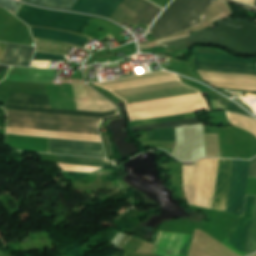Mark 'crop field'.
<instances>
[{
    "mask_svg": "<svg viewBox=\"0 0 256 256\" xmlns=\"http://www.w3.org/2000/svg\"><path fill=\"white\" fill-rule=\"evenodd\" d=\"M197 123H199L197 118H193V119H187V120H180V121H173V122L160 123V124H154V125L134 127V128H131V130H132V132H135V131L146 130V129L179 127V126H185V125H191V124H197Z\"/></svg>",
    "mask_w": 256,
    "mask_h": 256,
    "instance_id": "obj_27",
    "label": "crop field"
},
{
    "mask_svg": "<svg viewBox=\"0 0 256 256\" xmlns=\"http://www.w3.org/2000/svg\"><path fill=\"white\" fill-rule=\"evenodd\" d=\"M34 37L51 39L59 42L73 43L80 46H85L90 40L82 35L71 34L58 30L44 29L29 26Z\"/></svg>",
    "mask_w": 256,
    "mask_h": 256,
    "instance_id": "obj_17",
    "label": "crop field"
},
{
    "mask_svg": "<svg viewBox=\"0 0 256 256\" xmlns=\"http://www.w3.org/2000/svg\"><path fill=\"white\" fill-rule=\"evenodd\" d=\"M110 92L124 99L126 104L199 93V91L182 84L180 80L112 90Z\"/></svg>",
    "mask_w": 256,
    "mask_h": 256,
    "instance_id": "obj_4",
    "label": "crop field"
},
{
    "mask_svg": "<svg viewBox=\"0 0 256 256\" xmlns=\"http://www.w3.org/2000/svg\"><path fill=\"white\" fill-rule=\"evenodd\" d=\"M54 153L103 157L102 144L96 142H85L75 140L49 139ZM49 141V153H53Z\"/></svg>",
    "mask_w": 256,
    "mask_h": 256,
    "instance_id": "obj_12",
    "label": "crop field"
},
{
    "mask_svg": "<svg viewBox=\"0 0 256 256\" xmlns=\"http://www.w3.org/2000/svg\"><path fill=\"white\" fill-rule=\"evenodd\" d=\"M130 121L209 110L201 94L126 105Z\"/></svg>",
    "mask_w": 256,
    "mask_h": 256,
    "instance_id": "obj_3",
    "label": "crop field"
},
{
    "mask_svg": "<svg viewBox=\"0 0 256 256\" xmlns=\"http://www.w3.org/2000/svg\"><path fill=\"white\" fill-rule=\"evenodd\" d=\"M255 198L247 196L244 218L239 217L223 243L241 256L247 255L248 251ZM254 251H256V202L248 254Z\"/></svg>",
    "mask_w": 256,
    "mask_h": 256,
    "instance_id": "obj_7",
    "label": "crop field"
},
{
    "mask_svg": "<svg viewBox=\"0 0 256 256\" xmlns=\"http://www.w3.org/2000/svg\"><path fill=\"white\" fill-rule=\"evenodd\" d=\"M161 10L147 0H124L110 19L120 24L126 20L136 26L140 23L149 26Z\"/></svg>",
    "mask_w": 256,
    "mask_h": 256,
    "instance_id": "obj_8",
    "label": "crop field"
},
{
    "mask_svg": "<svg viewBox=\"0 0 256 256\" xmlns=\"http://www.w3.org/2000/svg\"><path fill=\"white\" fill-rule=\"evenodd\" d=\"M5 109L44 112V113H55V114H66V115H77V116H88V117H99V118H107V117L118 115L117 111L98 113V112L46 109V108H34V107L11 106V105H6Z\"/></svg>",
    "mask_w": 256,
    "mask_h": 256,
    "instance_id": "obj_20",
    "label": "crop field"
},
{
    "mask_svg": "<svg viewBox=\"0 0 256 256\" xmlns=\"http://www.w3.org/2000/svg\"><path fill=\"white\" fill-rule=\"evenodd\" d=\"M176 79H178L177 75L167 71H161V72L149 73V74H144L139 76H133V77L126 78L124 80L107 82V83H102L98 85L108 90H111V89L130 87V86L155 83V82H162V81H169V80H176Z\"/></svg>",
    "mask_w": 256,
    "mask_h": 256,
    "instance_id": "obj_15",
    "label": "crop field"
},
{
    "mask_svg": "<svg viewBox=\"0 0 256 256\" xmlns=\"http://www.w3.org/2000/svg\"><path fill=\"white\" fill-rule=\"evenodd\" d=\"M197 71L213 87L256 90V76L254 75Z\"/></svg>",
    "mask_w": 256,
    "mask_h": 256,
    "instance_id": "obj_11",
    "label": "crop field"
},
{
    "mask_svg": "<svg viewBox=\"0 0 256 256\" xmlns=\"http://www.w3.org/2000/svg\"><path fill=\"white\" fill-rule=\"evenodd\" d=\"M250 161L234 160L230 185L228 213L242 216Z\"/></svg>",
    "mask_w": 256,
    "mask_h": 256,
    "instance_id": "obj_9",
    "label": "crop field"
},
{
    "mask_svg": "<svg viewBox=\"0 0 256 256\" xmlns=\"http://www.w3.org/2000/svg\"><path fill=\"white\" fill-rule=\"evenodd\" d=\"M230 123L243 128L256 136V120L227 112Z\"/></svg>",
    "mask_w": 256,
    "mask_h": 256,
    "instance_id": "obj_24",
    "label": "crop field"
},
{
    "mask_svg": "<svg viewBox=\"0 0 256 256\" xmlns=\"http://www.w3.org/2000/svg\"><path fill=\"white\" fill-rule=\"evenodd\" d=\"M6 45L7 44H5V43H0V62H1V59H2V56H3V53L5 51Z\"/></svg>",
    "mask_w": 256,
    "mask_h": 256,
    "instance_id": "obj_34",
    "label": "crop field"
},
{
    "mask_svg": "<svg viewBox=\"0 0 256 256\" xmlns=\"http://www.w3.org/2000/svg\"><path fill=\"white\" fill-rule=\"evenodd\" d=\"M214 0H174L152 26L156 39L199 26Z\"/></svg>",
    "mask_w": 256,
    "mask_h": 256,
    "instance_id": "obj_1",
    "label": "crop field"
},
{
    "mask_svg": "<svg viewBox=\"0 0 256 256\" xmlns=\"http://www.w3.org/2000/svg\"><path fill=\"white\" fill-rule=\"evenodd\" d=\"M7 104L51 108L48 95L12 93Z\"/></svg>",
    "mask_w": 256,
    "mask_h": 256,
    "instance_id": "obj_21",
    "label": "crop field"
},
{
    "mask_svg": "<svg viewBox=\"0 0 256 256\" xmlns=\"http://www.w3.org/2000/svg\"><path fill=\"white\" fill-rule=\"evenodd\" d=\"M249 178H256V158L251 160Z\"/></svg>",
    "mask_w": 256,
    "mask_h": 256,
    "instance_id": "obj_33",
    "label": "crop field"
},
{
    "mask_svg": "<svg viewBox=\"0 0 256 256\" xmlns=\"http://www.w3.org/2000/svg\"><path fill=\"white\" fill-rule=\"evenodd\" d=\"M122 1L123 0H78L71 10L109 18Z\"/></svg>",
    "mask_w": 256,
    "mask_h": 256,
    "instance_id": "obj_16",
    "label": "crop field"
},
{
    "mask_svg": "<svg viewBox=\"0 0 256 256\" xmlns=\"http://www.w3.org/2000/svg\"><path fill=\"white\" fill-rule=\"evenodd\" d=\"M255 6H256V4H255Z\"/></svg>",
    "mask_w": 256,
    "mask_h": 256,
    "instance_id": "obj_37",
    "label": "crop field"
},
{
    "mask_svg": "<svg viewBox=\"0 0 256 256\" xmlns=\"http://www.w3.org/2000/svg\"><path fill=\"white\" fill-rule=\"evenodd\" d=\"M219 159H202L195 166H183V187L187 203L212 209Z\"/></svg>",
    "mask_w": 256,
    "mask_h": 256,
    "instance_id": "obj_2",
    "label": "crop field"
},
{
    "mask_svg": "<svg viewBox=\"0 0 256 256\" xmlns=\"http://www.w3.org/2000/svg\"><path fill=\"white\" fill-rule=\"evenodd\" d=\"M18 14L24 15V16L40 18V19L56 21V22L72 24V25H78V26H83V27H85L86 24L88 23V21L91 19L90 16L42 10V9H38V8L28 6L25 4H23V6L19 10ZM19 15H16V16L19 17L21 20H23L28 25L49 27V28L74 32V33H78V34H80L82 32V30L84 29L83 27L72 26V25H67V24H62V23H56V22H51V21H46V20H40V19H35V18H30V17L19 16Z\"/></svg>",
    "mask_w": 256,
    "mask_h": 256,
    "instance_id": "obj_5",
    "label": "crop field"
},
{
    "mask_svg": "<svg viewBox=\"0 0 256 256\" xmlns=\"http://www.w3.org/2000/svg\"><path fill=\"white\" fill-rule=\"evenodd\" d=\"M33 60L66 61V58H65L64 56H59V55H51V54L36 53Z\"/></svg>",
    "mask_w": 256,
    "mask_h": 256,
    "instance_id": "obj_30",
    "label": "crop field"
},
{
    "mask_svg": "<svg viewBox=\"0 0 256 256\" xmlns=\"http://www.w3.org/2000/svg\"><path fill=\"white\" fill-rule=\"evenodd\" d=\"M237 1L243 3L244 0H237ZM244 3H245V4H248V5H251V6H254L255 0H245Z\"/></svg>",
    "mask_w": 256,
    "mask_h": 256,
    "instance_id": "obj_35",
    "label": "crop field"
},
{
    "mask_svg": "<svg viewBox=\"0 0 256 256\" xmlns=\"http://www.w3.org/2000/svg\"><path fill=\"white\" fill-rule=\"evenodd\" d=\"M34 49L35 48L8 44L1 63L29 66Z\"/></svg>",
    "mask_w": 256,
    "mask_h": 256,
    "instance_id": "obj_18",
    "label": "crop field"
},
{
    "mask_svg": "<svg viewBox=\"0 0 256 256\" xmlns=\"http://www.w3.org/2000/svg\"><path fill=\"white\" fill-rule=\"evenodd\" d=\"M193 236L186 235L180 256H187ZM158 256V255H157Z\"/></svg>",
    "mask_w": 256,
    "mask_h": 256,
    "instance_id": "obj_32",
    "label": "crop field"
},
{
    "mask_svg": "<svg viewBox=\"0 0 256 256\" xmlns=\"http://www.w3.org/2000/svg\"><path fill=\"white\" fill-rule=\"evenodd\" d=\"M194 58L196 69L256 75V60L210 51H195Z\"/></svg>",
    "mask_w": 256,
    "mask_h": 256,
    "instance_id": "obj_6",
    "label": "crop field"
},
{
    "mask_svg": "<svg viewBox=\"0 0 256 256\" xmlns=\"http://www.w3.org/2000/svg\"><path fill=\"white\" fill-rule=\"evenodd\" d=\"M193 117H196L194 113L166 116V117H158V118H152V119H146V120L133 121V122H130V125H131V127H134V126L167 122V121L180 120V119L193 118Z\"/></svg>",
    "mask_w": 256,
    "mask_h": 256,
    "instance_id": "obj_26",
    "label": "crop field"
},
{
    "mask_svg": "<svg viewBox=\"0 0 256 256\" xmlns=\"http://www.w3.org/2000/svg\"><path fill=\"white\" fill-rule=\"evenodd\" d=\"M7 68H8V66L0 65V73L3 72Z\"/></svg>",
    "mask_w": 256,
    "mask_h": 256,
    "instance_id": "obj_36",
    "label": "crop field"
},
{
    "mask_svg": "<svg viewBox=\"0 0 256 256\" xmlns=\"http://www.w3.org/2000/svg\"><path fill=\"white\" fill-rule=\"evenodd\" d=\"M8 127L99 135L97 128L72 126V125H61V124H49V123H37V122L8 120Z\"/></svg>",
    "mask_w": 256,
    "mask_h": 256,
    "instance_id": "obj_14",
    "label": "crop field"
},
{
    "mask_svg": "<svg viewBox=\"0 0 256 256\" xmlns=\"http://www.w3.org/2000/svg\"><path fill=\"white\" fill-rule=\"evenodd\" d=\"M7 134L101 142L99 136H93V135L68 134V133H57V132H46V131H35V130L13 129V128H8Z\"/></svg>",
    "mask_w": 256,
    "mask_h": 256,
    "instance_id": "obj_19",
    "label": "crop field"
},
{
    "mask_svg": "<svg viewBox=\"0 0 256 256\" xmlns=\"http://www.w3.org/2000/svg\"><path fill=\"white\" fill-rule=\"evenodd\" d=\"M58 159H59V162H62V163L76 164V165H82V166L106 167V166L112 165V163L106 160L84 158V157L58 155Z\"/></svg>",
    "mask_w": 256,
    "mask_h": 256,
    "instance_id": "obj_23",
    "label": "crop field"
},
{
    "mask_svg": "<svg viewBox=\"0 0 256 256\" xmlns=\"http://www.w3.org/2000/svg\"><path fill=\"white\" fill-rule=\"evenodd\" d=\"M0 5L7 8L9 11L16 15L18 10L22 6V3L15 2L12 0H0Z\"/></svg>",
    "mask_w": 256,
    "mask_h": 256,
    "instance_id": "obj_29",
    "label": "crop field"
},
{
    "mask_svg": "<svg viewBox=\"0 0 256 256\" xmlns=\"http://www.w3.org/2000/svg\"><path fill=\"white\" fill-rule=\"evenodd\" d=\"M34 39L37 45L36 51L68 54L72 46L81 48L80 46L73 45V44H64V43H59V42L45 40V39H37V38H34Z\"/></svg>",
    "mask_w": 256,
    "mask_h": 256,
    "instance_id": "obj_22",
    "label": "crop field"
},
{
    "mask_svg": "<svg viewBox=\"0 0 256 256\" xmlns=\"http://www.w3.org/2000/svg\"><path fill=\"white\" fill-rule=\"evenodd\" d=\"M233 160L220 159L213 209L226 212Z\"/></svg>",
    "mask_w": 256,
    "mask_h": 256,
    "instance_id": "obj_13",
    "label": "crop field"
},
{
    "mask_svg": "<svg viewBox=\"0 0 256 256\" xmlns=\"http://www.w3.org/2000/svg\"><path fill=\"white\" fill-rule=\"evenodd\" d=\"M212 104H213V108H219L226 111H232V112L241 113L247 116H251L243 108H241L239 105H237L234 102L212 100Z\"/></svg>",
    "mask_w": 256,
    "mask_h": 256,
    "instance_id": "obj_28",
    "label": "crop field"
},
{
    "mask_svg": "<svg viewBox=\"0 0 256 256\" xmlns=\"http://www.w3.org/2000/svg\"><path fill=\"white\" fill-rule=\"evenodd\" d=\"M7 113H8V119H14V120L62 123V124L93 126V127H98L103 120L99 118H88V117H77V116H66V115H55V114H44V113H33V112L11 111V110H7Z\"/></svg>",
    "mask_w": 256,
    "mask_h": 256,
    "instance_id": "obj_10",
    "label": "crop field"
},
{
    "mask_svg": "<svg viewBox=\"0 0 256 256\" xmlns=\"http://www.w3.org/2000/svg\"><path fill=\"white\" fill-rule=\"evenodd\" d=\"M63 170H71V171H83V172H93L100 168H94V167H81V166H75V165H66V164H60Z\"/></svg>",
    "mask_w": 256,
    "mask_h": 256,
    "instance_id": "obj_31",
    "label": "crop field"
},
{
    "mask_svg": "<svg viewBox=\"0 0 256 256\" xmlns=\"http://www.w3.org/2000/svg\"><path fill=\"white\" fill-rule=\"evenodd\" d=\"M21 1L29 2L32 4L49 7V8L70 10L77 0H21Z\"/></svg>",
    "mask_w": 256,
    "mask_h": 256,
    "instance_id": "obj_25",
    "label": "crop field"
}]
</instances>
